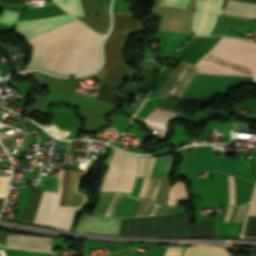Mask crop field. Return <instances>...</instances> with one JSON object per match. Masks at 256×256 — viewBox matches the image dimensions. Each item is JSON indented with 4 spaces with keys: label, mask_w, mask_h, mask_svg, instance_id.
<instances>
[{
    "label": "crop field",
    "mask_w": 256,
    "mask_h": 256,
    "mask_svg": "<svg viewBox=\"0 0 256 256\" xmlns=\"http://www.w3.org/2000/svg\"><path fill=\"white\" fill-rule=\"evenodd\" d=\"M42 191L43 190L31 188L29 198H28L27 207H26V211H25V215H24V219L22 218L23 220L30 221V222L33 221V218H34V215L36 213Z\"/></svg>",
    "instance_id": "17"
},
{
    "label": "crop field",
    "mask_w": 256,
    "mask_h": 256,
    "mask_svg": "<svg viewBox=\"0 0 256 256\" xmlns=\"http://www.w3.org/2000/svg\"><path fill=\"white\" fill-rule=\"evenodd\" d=\"M19 15V12L3 9L2 14L0 15V22L14 25Z\"/></svg>",
    "instance_id": "20"
},
{
    "label": "crop field",
    "mask_w": 256,
    "mask_h": 256,
    "mask_svg": "<svg viewBox=\"0 0 256 256\" xmlns=\"http://www.w3.org/2000/svg\"><path fill=\"white\" fill-rule=\"evenodd\" d=\"M191 236L215 237V238H238L239 236H214L213 222H200L191 224Z\"/></svg>",
    "instance_id": "15"
},
{
    "label": "crop field",
    "mask_w": 256,
    "mask_h": 256,
    "mask_svg": "<svg viewBox=\"0 0 256 256\" xmlns=\"http://www.w3.org/2000/svg\"><path fill=\"white\" fill-rule=\"evenodd\" d=\"M57 194L43 191L33 222L68 230L74 210L55 209Z\"/></svg>",
    "instance_id": "5"
},
{
    "label": "crop field",
    "mask_w": 256,
    "mask_h": 256,
    "mask_svg": "<svg viewBox=\"0 0 256 256\" xmlns=\"http://www.w3.org/2000/svg\"><path fill=\"white\" fill-rule=\"evenodd\" d=\"M53 238L7 234L6 246L51 251Z\"/></svg>",
    "instance_id": "10"
},
{
    "label": "crop field",
    "mask_w": 256,
    "mask_h": 256,
    "mask_svg": "<svg viewBox=\"0 0 256 256\" xmlns=\"http://www.w3.org/2000/svg\"><path fill=\"white\" fill-rule=\"evenodd\" d=\"M208 54L249 67L256 83V44L222 38Z\"/></svg>",
    "instance_id": "4"
},
{
    "label": "crop field",
    "mask_w": 256,
    "mask_h": 256,
    "mask_svg": "<svg viewBox=\"0 0 256 256\" xmlns=\"http://www.w3.org/2000/svg\"><path fill=\"white\" fill-rule=\"evenodd\" d=\"M27 3V1L25 2V4Z\"/></svg>",
    "instance_id": "27"
},
{
    "label": "crop field",
    "mask_w": 256,
    "mask_h": 256,
    "mask_svg": "<svg viewBox=\"0 0 256 256\" xmlns=\"http://www.w3.org/2000/svg\"><path fill=\"white\" fill-rule=\"evenodd\" d=\"M223 14L256 19V5L228 0Z\"/></svg>",
    "instance_id": "13"
},
{
    "label": "crop field",
    "mask_w": 256,
    "mask_h": 256,
    "mask_svg": "<svg viewBox=\"0 0 256 256\" xmlns=\"http://www.w3.org/2000/svg\"><path fill=\"white\" fill-rule=\"evenodd\" d=\"M75 17L82 16L79 0H55Z\"/></svg>",
    "instance_id": "19"
},
{
    "label": "crop field",
    "mask_w": 256,
    "mask_h": 256,
    "mask_svg": "<svg viewBox=\"0 0 256 256\" xmlns=\"http://www.w3.org/2000/svg\"><path fill=\"white\" fill-rule=\"evenodd\" d=\"M119 227L120 219L83 215L75 230L101 234H118Z\"/></svg>",
    "instance_id": "7"
},
{
    "label": "crop field",
    "mask_w": 256,
    "mask_h": 256,
    "mask_svg": "<svg viewBox=\"0 0 256 256\" xmlns=\"http://www.w3.org/2000/svg\"><path fill=\"white\" fill-rule=\"evenodd\" d=\"M183 256H228L225 249L213 247H188Z\"/></svg>",
    "instance_id": "16"
},
{
    "label": "crop field",
    "mask_w": 256,
    "mask_h": 256,
    "mask_svg": "<svg viewBox=\"0 0 256 256\" xmlns=\"http://www.w3.org/2000/svg\"><path fill=\"white\" fill-rule=\"evenodd\" d=\"M118 86L119 85L116 84L102 83L101 90L95 100L111 104L116 95L115 90L118 88Z\"/></svg>",
    "instance_id": "18"
},
{
    "label": "crop field",
    "mask_w": 256,
    "mask_h": 256,
    "mask_svg": "<svg viewBox=\"0 0 256 256\" xmlns=\"http://www.w3.org/2000/svg\"><path fill=\"white\" fill-rule=\"evenodd\" d=\"M102 39L76 20L65 23L27 40L33 47L27 69L40 68L56 75L91 73L100 63Z\"/></svg>",
    "instance_id": "1"
},
{
    "label": "crop field",
    "mask_w": 256,
    "mask_h": 256,
    "mask_svg": "<svg viewBox=\"0 0 256 256\" xmlns=\"http://www.w3.org/2000/svg\"><path fill=\"white\" fill-rule=\"evenodd\" d=\"M206 100L204 98L182 96L174 103L170 110L191 117Z\"/></svg>",
    "instance_id": "11"
},
{
    "label": "crop field",
    "mask_w": 256,
    "mask_h": 256,
    "mask_svg": "<svg viewBox=\"0 0 256 256\" xmlns=\"http://www.w3.org/2000/svg\"><path fill=\"white\" fill-rule=\"evenodd\" d=\"M137 170V156L114 150L110 169L104 178L101 191L129 193Z\"/></svg>",
    "instance_id": "3"
},
{
    "label": "crop field",
    "mask_w": 256,
    "mask_h": 256,
    "mask_svg": "<svg viewBox=\"0 0 256 256\" xmlns=\"http://www.w3.org/2000/svg\"><path fill=\"white\" fill-rule=\"evenodd\" d=\"M2 256H49L45 253L0 250Z\"/></svg>",
    "instance_id": "21"
},
{
    "label": "crop field",
    "mask_w": 256,
    "mask_h": 256,
    "mask_svg": "<svg viewBox=\"0 0 256 256\" xmlns=\"http://www.w3.org/2000/svg\"><path fill=\"white\" fill-rule=\"evenodd\" d=\"M75 19L68 14L42 18L16 24L15 30L22 32L27 38L49 30L55 26Z\"/></svg>",
    "instance_id": "9"
},
{
    "label": "crop field",
    "mask_w": 256,
    "mask_h": 256,
    "mask_svg": "<svg viewBox=\"0 0 256 256\" xmlns=\"http://www.w3.org/2000/svg\"><path fill=\"white\" fill-rule=\"evenodd\" d=\"M131 32H145L143 23L129 11L113 12V28L104 44L105 62L97 72L106 82L121 84L133 71L123 62V48Z\"/></svg>",
    "instance_id": "2"
},
{
    "label": "crop field",
    "mask_w": 256,
    "mask_h": 256,
    "mask_svg": "<svg viewBox=\"0 0 256 256\" xmlns=\"http://www.w3.org/2000/svg\"><path fill=\"white\" fill-rule=\"evenodd\" d=\"M173 116H175V114L155 107L144 121L163 136L166 129V122Z\"/></svg>",
    "instance_id": "12"
},
{
    "label": "crop field",
    "mask_w": 256,
    "mask_h": 256,
    "mask_svg": "<svg viewBox=\"0 0 256 256\" xmlns=\"http://www.w3.org/2000/svg\"><path fill=\"white\" fill-rule=\"evenodd\" d=\"M223 4L224 0H198L193 34L209 35Z\"/></svg>",
    "instance_id": "6"
},
{
    "label": "crop field",
    "mask_w": 256,
    "mask_h": 256,
    "mask_svg": "<svg viewBox=\"0 0 256 256\" xmlns=\"http://www.w3.org/2000/svg\"><path fill=\"white\" fill-rule=\"evenodd\" d=\"M247 213L256 214V187L254 189L252 201Z\"/></svg>",
    "instance_id": "25"
},
{
    "label": "crop field",
    "mask_w": 256,
    "mask_h": 256,
    "mask_svg": "<svg viewBox=\"0 0 256 256\" xmlns=\"http://www.w3.org/2000/svg\"><path fill=\"white\" fill-rule=\"evenodd\" d=\"M187 0H161L160 5L172 7H186Z\"/></svg>",
    "instance_id": "23"
},
{
    "label": "crop field",
    "mask_w": 256,
    "mask_h": 256,
    "mask_svg": "<svg viewBox=\"0 0 256 256\" xmlns=\"http://www.w3.org/2000/svg\"><path fill=\"white\" fill-rule=\"evenodd\" d=\"M0 256H1V254H0Z\"/></svg>",
    "instance_id": "28"
},
{
    "label": "crop field",
    "mask_w": 256,
    "mask_h": 256,
    "mask_svg": "<svg viewBox=\"0 0 256 256\" xmlns=\"http://www.w3.org/2000/svg\"><path fill=\"white\" fill-rule=\"evenodd\" d=\"M9 177L0 176V197H4Z\"/></svg>",
    "instance_id": "24"
},
{
    "label": "crop field",
    "mask_w": 256,
    "mask_h": 256,
    "mask_svg": "<svg viewBox=\"0 0 256 256\" xmlns=\"http://www.w3.org/2000/svg\"><path fill=\"white\" fill-rule=\"evenodd\" d=\"M18 70L19 71H23L24 68H25V56L24 57H21V58H15L13 59Z\"/></svg>",
    "instance_id": "26"
},
{
    "label": "crop field",
    "mask_w": 256,
    "mask_h": 256,
    "mask_svg": "<svg viewBox=\"0 0 256 256\" xmlns=\"http://www.w3.org/2000/svg\"><path fill=\"white\" fill-rule=\"evenodd\" d=\"M221 37H198L190 41L173 58L194 64L201 58L212 46H214Z\"/></svg>",
    "instance_id": "8"
},
{
    "label": "crop field",
    "mask_w": 256,
    "mask_h": 256,
    "mask_svg": "<svg viewBox=\"0 0 256 256\" xmlns=\"http://www.w3.org/2000/svg\"><path fill=\"white\" fill-rule=\"evenodd\" d=\"M78 19L81 20L83 23H85L92 30L100 34H105L109 28L110 20H109L108 13L92 16V17L78 18Z\"/></svg>",
    "instance_id": "14"
},
{
    "label": "crop field",
    "mask_w": 256,
    "mask_h": 256,
    "mask_svg": "<svg viewBox=\"0 0 256 256\" xmlns=\"http://www.w3.org/2000/svg\"><path fill=\"white\" fill-rule=\"evenodd\" d=\"M168 182L162 181L155 202L159 204H166V197L168 191Z\"/></svg>",
    "instance_id": "22"
}]
</instances>
